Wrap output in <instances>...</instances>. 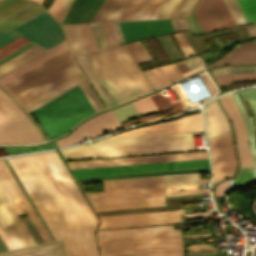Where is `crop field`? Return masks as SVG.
<instances>
[{
  "label": "crop field",
  "instance_id": "1",
  "mask_svg": "<svg viewBox=\"0 0 256 256\" xmlns=\"http://www.w3.org/2000/svg\"><path fill=\"white\" fill-rule=\"evenodd\" d=\"M7 159L66 256H98V221L56 151Z\"/></svg>",
  "mask_w": 256,
  "mask_h": 256
},
{
  "label": "crop field",
  "instance_id": "2",
  "mask_svg": "<svg viewBox=\"0 0 256 256\" xmlns=\"http://www.w3.org/2000/svg\"><path fill=\"white\" fill-rule=\"evenodd\" d=\"M194 150L192 134L99 140L63 149L65 161Z\"/></svg>",
  "mask_w": 256,
  "mask_h": 256
},
{
  "label": "crop field",
  "instance_id": "3",
  "mask_svg": "<svg viewBox=\"0 0 256 256\" xmlns=\"http://www.w3.org/2000/svg\"><path fill=\"white\" fill-rule=\"evenodd\" d=\"M87 55L118 103L152 90L124 46L88 52Z\"/></svg>",
  "mask_w": 256,
  "mask_h": 256
},
{
  "label": "crop field",
  "instance_id": "4",
  "mask_svg": "<svg viewBox=\"0 0 256 256\" xmlns=\"http://www.w3.org/2000/svg\"><path fill=\"white\" fill-rule=\"evenodd\" d=\"M78 72L65 49L2 87L22 106Z\"/></svg>",
  "mask_w": 256,
  "mask_h": 256
},
{
  "label": "crop field",
  "instance_id": "5",
  "mask_svg": "<svg viewBox=\"0 0 256 256\" xmlns=\"http://www.w3.org/2000/svg\"><path fill=\"white\" fill-rule=\"evenodd\" d=\"M32 112L49 139H53L94 110L77 85Z\"/></svg>",
  "mask_w": 256,
  "mask_h": 256
},
{
  "label": "crop field",
  "instance_id": "6",
  "mask_svg": "<svg viewBox=\"0 0 256 256\" xmlns=\"http://www.w3.org/2000/svg\"><path fill=\"white\" fill-rule=\"evenodd\" d=\"M95 211L163 205L164 186L86 194Z\"/></svg>",
  "mask_w": 256,
  "mask_h": 256
},
{
  "label": "crop field",
  "instance_id": "7",
  "mask_svg": "<svg viewBox=\"0 0 256 256\" xmlns=\"http://www.w3.org/2000/svg\"><path fill=\"white\" fill-rule=\"evenodd\" d=\"M130 0H104L94 19L120 18ZM166 0H131L120 21L156 19ZM119 21V19L92 22Z\"/></svg>",
  "mask_w": 256,
  "mask_h": 256
},
{
  "label": "crop field",
  "instance_id": "8",
  "mask_svg": "<svg viewBox=\"0 0 256 256\" xmlns=\"http://www.w3.org/2000/svg\"><path fill=\"white\" fill-rule=\"evenodd\" d=\"M102 254L182 248L180 233L99 240Z\"/></svg>",
  "mask_w": 256,
  "mask_h": 256
},
{
  "label": "crop field",
  "instance_id": "9",
  "mask_svg": "<svg viewBox=\"0 0 256 256\" xmlns=\"http://www.w3.org/2000/svg\"><path fill=\"white\" fill-rule=\"evenodd\" d=\"M36 43L49 48L64 40L61 25L46 11L13 29Z\"/></svg>",
  "mask_w": 256,
  "mask_h": 256
},
{
  "label": "crop field",
  "instance_id": "10",
  "mask_svg": "<svg viewBox=\"0 0 256 256\" xmlns=\"http://www.w3.org/2000/svg\"><path fill=\"white\" fill-rule=\"evenodd\" d=\"M209 167L208 159L72 170L75 177Z\"/></svg>",
  "mask_w": 256,
  "mask_h": 256
},
{
  "label": "crop field",
  "instance_id": "11",
  "mask_svg": "<svg viewBox=\"0 0 256 256\" xmlns=\"http://www.w3.org/2000/svg\"><path fill=\"white\" fill-rule=\"evenodd\" d=\"M182 211H164L100 217V229L180 223Z\"/></svg>",
  "mask_w": 256,
  "mask_h": 256
},
{
  "label": "crop field",
  "instance_id": "12",
  "mask_svg": "<svg viewBox=\"0 0 256 256\" xmlns=\"http://www.w3.org/2000/svg\"><path fill=\"white\" fill-rule=\"evenodd\" d=\"M193 11L205 33L236 25L223 0H199Z\"/></svg>",
  "mask_w": 256,
  "mask_h": 256
},
{
  "label": "crop field",
  "instance_id": "13",
  "mask_svg": "<svg viewBox=\"0 0 256 256\" xmlns=\"http://www.w3.org/2000/svg\"><path fill=\"white\" fill-rule=\"evenodd\" d=\"M198 131H204L201 114H193L179 118L172 122L159 123L151 126L134 129L110 138L173 134Z\"/></svg>",
  "mask_w": 256,
  "mask_h": 256
},
{
  "label": "crop field",
  "instance_id": "14",
  "mask_svg": "<svg viewBox=\"0 0 256 256\" xmlns=\"http://www.w3.org/2000/svg\"><path fill=\"white\" fill-rule=\"evenodd\" d=\"M15 221L17 227L15 226ZM0 226L10 240L14 249L34 245L32 237L23 223L16 216L14 209L0 187Z\"/></svg>",
  "mask_w": 256,
  "mask_h": 256
},
{
  "label": "crop field",
  "instance_id": "15",
  "mask_svg": "<svg viewBox=\"0 0 256 256\" xmlns=\"http://www.w3.org/2000/svg\"><path fill=\"white\" fill-rule=\"evenodd\" d=\"M228 135L236 167V158L233 150L230 132L228 133ZM229 141L227 133L209 141L213 169L212 183L225 177L231 176L235 170Z\"/></svg>",
  "mask_w": 256,
  "mask_h": 256
},
{
  "label": "crop field",
  "instance_id": "16",
  "mask_svg": "<svg viewBox=\"0 0 256 256\" xmlns=\"http://www.w3.org/2000/svg\"><path fill=\"white\" fill-rule=\"evenodd\" d=\"M206 158L207 152H205ZM204 152L99 160L100 167L205 158ZM70 169L99 167L98 160L67 163Z\"/></svg>",
  "mask_w": 256,
  "mask_h": 256
},
{
  "label": "crop field",
  "instance_id": "17",
  "mask_svg": "<svg viewBox=\"0 0 256 256\" xmlns=\"http://www.w3.org/2000/svg\"><path fill=\"white\" fill-rule=\"evenodd\" d=\"M120 127L111 111L102 113L77 128L71 135L57 141L58 147L69 145L88 136V138Z\"/></svg>",
  "mask_w": 256,
  "mask_h": 256
},
{
  "label": "crop field",
  "instance_id": "18",
  "mask_svg": "<svg viewBox=\"0 0 256 256\" xmlns=\"http://www.w3.org/2000/svg\"><path fill=\"white\" fill-rule=\"evenodd\" d=\"M219 101L234 126L240 166L253 167L251 154L249 152L246 127L234 101L231 96L228 95L220 98Z\"/></svg>",
  "mask_w": 256,
  "mask_h": 256
},
{
  "label": "crop field",
  "instance_id": "19",
  "mask_svg": "<svg viewBox=\"0 0 256 256\" xmlns=\"http://www.w3.org/2000/svg\"><path fill=\"white\" fill-rule=\"evenodd\" d=\"M38 141L0 102V144H33Z\"/></svg>",
  "mask_w": 256,
  "mask_h": 256
},
{
  "label": "crop field",
  "instance_id": "20",
  "mask_svg": "<svg viewBox=\"0 0 256 256\" xmlns=\"http://www.w3.org/2000/svg\"><path fill=\"white\" fill-rule=\"evenodd\" d=\"M124 41L171 32L170 20L119 23Z\"/></svg>",
  "mask_w": 256,
  "mask_h": 256
},
{
  "label": "crop field",
  "instance_id": "21",
  "mask_svg": "<svg viewBox=\"0 0 256 256\" xmlns=\"http://www.w3.org/2000/svg\"><path fill=\"white\" fill-rule=\"evenodd\" d=\"M75 58L105 101L108 107L117 104V101L115 100V96L113 97L112 93L102 80L101 76L91 63L90 59L86 55V53L75 55Z\"/></svg>",
  "mask_w": 256,
  "mask_h": 256
},
{
  "label": "crop field",
  "instance_id": "22",
  "mask_svg": "<svg viewBox=\"0 0 256 256\" xmlns=\"http://www.w3.org/2000/svg\"><path fill=\"white\" fill-rule=\"evenodd\" d=\"M203 110L208 139L229 131L226 118L216 100L204 105Z\"/></svg>",
  "mask_w": 256,
  "mask_h": 256
},
{
  "label": "crop field",
  "instance_id": "23",
  "mask_svg": "<svg viewBox=\"0 0 256 256\" xmlns=\"http://www.w3.org/2000/svg\"><path fill=\"white\" fill-rule=\"evenodd\" d=\"M224 63H256V42H247L236 47L227 55L209 66H215Z\"/></svg>",
  "mask_w": 256,
  "mask_h": 256
},
{
  "label": "crop field",
  "instance_id": "24",
  "mask_svg": "<svg viewBox=\"0 0 256 256\" xmlns=\"http://www.w3.org/2000/svg\"><path fill=\"white\" fill-rule=\"evenodd\" d=\"M175 232H180V231L173 230L172 225L161 226V227L105 230V231L98 232V238L104 239V238L128 237V236H139V235L175 233Z\"/></svg>",
  "mask_w": 256,
  "mask_h": 256
},
{
  "label": "crop field",
  "instance_id": "25",
  "mask_svg": "<svg viewBox=\"0 0 256 256\" xmlns=\"http://www.w3.org/2000/svg\"><path fill=\"white\" fill-rule=\"evenodd\" d=\"M84 79V76L80 72L22 107L27 112H29L42 105L43 103L49 101L50 99L56 97L57 95L63 93L64 91L70 89L71 87L77 85L78 83L84 81Z\"/></svg>",
  "mask_w": 256,
  "mask_h": 256
},
{
  "label": "crop field",
  "instance_id": "26",
  "mask_svg": "<svg viewBox=\"0 0 256 256\" xmlns=\"http://www.w3.org/2000/svg\"><path fill=\"white\" fill-rule=\"evenodd\" d=\"M65 48H67V46L66 42L64 41L57 46L51 48L50 50L44 52L43 54L37 56L36 58L30 60L29 62L23 64L22 66L16 68L15 70L9 72L8 74L2 76L0 78V85L2 86L6 84L7 82L18 77L19 75L23 74L24 72L40 64L41 62L45 61L46 59L50 58L51 56L55 55L56 53L62 51Z\"/></svg>",
  "mask_w": 256,
  "mask_h": 256
},
{
  "label": "crop field",
  "instance_id": "27",
  "mask_svg": "<svg viewBox=\"0 0 256 256\" xmlns=\"http://www.w3.org/2000/svg\"><path fill=\"white\" fill-rule=\"evenodd\" d=\"M0 256H64L61 242L0 253Z\"/></svg>",
  "mask_w": 256,
  "mask_h": 256
},
{
  "label": "crop field",
  "instance_id": "28",
  "mask_svg": "<svg viewBox=\"0 0 256 256\" xmlns=\"http://www.w3.org/2000/svg\"><path fill=\"white\" fill-rule=\"evenodd\" d=\"M0 168L4 175L6 176L7 180L11 184L12 188L16 192L17 196L21 200L25 210L27 211L28 215L30 216L31 220L33 221L34 225L36 226L37 230L41 234L42 238L44 239L45 243L51 242L50 237L46 233L45 229L43 228L42 224L38 220L37 216L35 215L34 211L30 207L29 203L27 202L26 198L24 197L23 193L19 189L18 185L16 184L15 180L11 176L10 172L8 171L7 167L3 163L2 159H0Z\"/></svg>",
  "mask_w": 256,
  "mask_h": 256
},
{
  "label": "crop field",
  "instance_id": "29",
  "mask_svg": "<svg viewBox=\"0 0 256 256\" xmlns=\"http://www.w3.org/2000/svg\"><path fill=\"white\" fill-rule=\"evenodd\" d=\"M185 0H167L157 19L176 18ZM196 0H186L177 18H187Z\"/></svg>",
  "mask_w": 256,
  "mask_h": 256
},
{
  "label": "crop field",
  "instance_id": "30",
  "mask_svg": "<svg viewBox=\"0 0 256 256\" xmlns=\"http://www.w3.org/2000/svg\"><path fill=\"white\" fill-rule=\"evenodd\" d=\"M148 97L151 100V102L153 103V105L155 106V108L157 109V111L171 108V107H173V109L165 114H162V115H151V116H147L144 118L129 121L126 123H122V126H126L132 122H140V121L157 118V117L164 116V115L173 114L175 112H178V111H181L184 109V107L180 101L171 102L170 99L168 98V96H162L159 92L154 95L148 96Z\"/></svg>",
  "mask_w": 256,
  "mask_h": 256
},
{
  "label": "crop field",
  "instance_id": "31",
  "mask_svg": "<svg viewBox=\"0 0 256 256\" xmlns=\"http://www.w3.org/2000/svg\"><path fill=\"white\" fill-rule=\"evenodd\" d=\"M164 185V177L104 181L105 190Z\"/></svg>",
  "mask_w": 256,
  "mask_h": 256
},
{
  "label": "crop field",
  "instance_id": "32",
  "mask_svg": "<svg viewBox=\"0 0 256 256\" xmlns=\"http://www.w3.org/2000/svg\"><path fill=\"white\" fill-rule=\"evenodd\" d=\"M72 54L87 51L79 24L63 25Z\"/></svg>",
  "mask_w": 256,
  "mask_h": 256
},
{
  "label": "crop field",
  "instance_id": "33",
  "mask_svg": "<svg viewBox=\"0 0 256 256\" xmlns=\"http://www.w3.org/2000/svg\"><path fill=\"white\" fill-rule=\"evenodd\" d=\"M0 101L13 113V115L31 132L39 141H44L36 127L28 118L13 104V102L0 90Z\"/></svg>",
  "mask_w": 256,
  "mask_h": 256
},
{
  "label": "crop field",
  "instance_id": "34",
  "mask_svg": "<svg viewBox=\"0 0 256 256\" xmlns=\"http://www.w3.org/2000/svg\"><path fill=\"white\" fill-rule=\"evenodd\" d=\"M234 100L237 104V107L242 115V117L245 120L246 123V127H247V131H248V140H249V145H250V150L252 153V158H253V164H254V168H253V178L252 179H256V145H255V136H254V127H253V119L252 117L248 118L243 107L242 104L239 100V97L237 95L236 92L232 93Z\"/></svg>",
  "mask_w": 256,
  "mask_h": 256
},
{
  "label": "crop field",
  "instance_id": "35",
  "mask_svg": "<svg viewBox=\"0 0 256 256\" xmlns=\"http://www.w3.org/2000/svg\"><path fill=\"white\" fill-rule=\"evenodd\" d=\"M36 45L29 48L28 50L22 52L21 54L15 56L14 58L8 60L7 62L1 64L0 65V76L7 73L10 70H12L13 68L19 66L20 64L26 62L27 60L33 58L34 56L38 55L39 53L45 51L44 49H42Z\"/></svg>",
  "mask_w": 256,
  "mask_h": 256
},
{
  "label": "crop field",
  "instance_id": "36",
  "mask_svg": "<svg viewBox=\"0 0 256 256\" xmlns=\"http://www.w3.org/2000/svg\"><path fill=\"white\" fill-rule=\"evenodd\" d=\"M209 171V168L77 178L78 181Z\"/></svg>",
  "mask_w": 256,
  "mask_h": 256
},
{
  "label": "crop field",
  "instance_id": "37",
  "mask_svg": "<svg viewBox=\"0 0 256 256\" xmlns=\"http://www.w3.org/2000/svg\"><path fill=\"white\" fill-rule=\"evenodd\" d=\"M209 183V179H200L199 174L167 176L166 185H189Z\"/></svg>",
  "mask_w": 256,
  "mask_h": 256
},
{
  "label": "crop field",
  "instance_id": "38",
  "mask_svg": "<svg viewBox=\"0 0 256 256\" xmlns=\"http://www.w3.org/2000/svg\"><path fill=\"white\" fill-rule=\"evenodd\" d=\"M203 61L200 57H194L182 62L175 63L182 77L202 68Z\"/></svg>",
  "mask_w": 256,
  "mask_h": 256
},
{
  "label": "crop field",
  "instance_id": "39",
  "mask_svg": "<svg viewBox=\"0 0 256 256\" xmlns=\"http://www.w3.org/2000/svg\"><path fill=\"white\" fill-rule=\"evenodd\" d=\"M220 86L238 81H256V72L214 76Z\"/></svg>",
  "mask_w": 256,
  "mask_h": 256
},
{
  "label": "crop field",
  "instance_id": "40",
  "mask_svg": "<svg viewBox=\"0 0 256 256\" xmlns=\"http://www.w3.org/2000/svg\"><path fill=\"white\" fill-rule=\"evenodd\" d=\"M0 185L4 190L6 196L8 197L9 201L11 202L12 206L16 210L17 214L25 213L23 206L19 202L18 198L16 197L15 193L13 192L6 178L2 174L1 170H0Z\"/></svg>",
  "mask_w": 256,
  "mask_h": 256
},
{
  "label": "crop field",
  "instance_id": "41",
  "mask_svg": "<svg viewBox=\"0 0 256 256\" xmlns=\"http://www.w3.org/2000/svg\"><path fill=\"white\" fill-rule=\"evenodd\" d=\"M102 256H183L182 249L176 250H162V251H149V252H135V253H122V254H108Z\"/></svg>",
  "mask_w": 256,
  "mask_h": 256
},
{
  "label": "crop field",
  "instance_id": "42",
  "mask_svg": "<svg viewBox=\"0 0 256 256\" xmlns=\"http://www.w3.org/2000/svg\"><path fill=\"white\" fill-rule=\"evenodd\" d=\"M125 48L129 52L135 63L150 59V56L148 55L140 41L125 45Z\"/></svg>",
  "mask_w": 256,
  "mask_h": 256
},
{
  "label": "crop field",
  "instance_id": "43",
  "mask_svg": "<svg viewBox=\"0 0 256 256\" xmlns=\"http://www.w3.org/2000/svg\"><path fill=\"white\" fill-rule=\"evenodd\" d=\"M247 22H256V0H237Z\"/></svg>",
  "mask_w": 256,
  "mask_h": 256
},
{
  "label": "crop field",
  "instance_id": "44",
  "mask_svg": "<svg viewBox=\"0 0 256 256\" xmlns=\"http://www.w3.org/2000/svg\"><path fill=\"white\" fill-rule=\"evenodd\" d=\"M29 42H31V41L20 36V37L14 39L13 41L9 42L8 44L2 46L0 48V59L7 56L8 54L14 52L15 50L19 49L20 47L26 45Z\"/></svg>",
  "mask_w": 256,
  "mask_h": 256
},
{
  "label": "crop field",
  "instance_id": "45",
  "mask_svg": "<svg viewBox=\"0 0 256 256\" xmlns=\"http://www.w3.org/2000/svg\"><path fill=\"white\" fill-rule=\"evenodd\" d=\"M114 114L116 115L119 122L125 121L128 119H132L135 117H139L137 110L135 109L133 103L121 107L119 109L113 110ZM141 116V115H140Z\"/></svg>",
  "mask_w": 256,
  "mask_h": 256
},
{
  "label": "crop field",
  "instance_id": "46",
  "mask_svg": "<svg viewBox=\"0 0 256 256\" xmlns=\"http://www.w3.org/2000/svg\"><path fill=\"white\" fill-rule=\"evenodd\" d=\"M179 189H197V185H190V186H166V196L181 195V194H193V193H209L208 189L173 191V190H179Z\"/></svg>",
  "mask_w": 256,
  "mask_h": 256
},
{
  "label": "crop field",
  "instance_id": "47",
  "mask_svg": "<svg viewBox=\"0 0 256 256\" xmlns=\"http://www.w3.org/2000/svg\"><path fill=\"white\" fill-rule=\"evenodd\" d=\"M79 87L81 88V90L83 91L84 95L86 96V98L88 99L90 104L92 105V107L95 110V112L103 109V106L101 105V103L99 102V100L97 99L95 94L92 92V90L90 89V87L88 86L86 81L80 83Z\"/></svg>",
  "mask_w": 256,
  "mask_h": 256
},
{
  "label": "crop field",
  "instance_id": "48",
  "mask_svg": "<svg viewBox=\"0 0 256 256\" xmlns=\"http://www.w3.org/2000/svg\"><path fill=\"white\" fill-rule=\"evenodd\" d=\"M88 51L96 50L97 45L90 24H80Z\"/></svg>",
  "mask_w": 256,
  "mask_h": 256
},
{
  "label": "crop field",
  "instance_id": "49",
  "mask_svg": "<svg viewBox=\"0 0 256 256\" xmlns=\"http://www.w3.org/2000/svg\"><path fill=\"white\" fill-rule=\"evenodd\" d=\"M240 97L247 100L255 118L256 124V88L246 89L238 92Z\"/></svg>",
  "mask_w": 256,
  "mask_h": 256
},
{
  "label": "crop field",
  "instance_id": "50",
  "mask_svg": "<svg viewBox=\"0 0 256 256\" xmlns=\"http://www.w3.org/2000/svg\"><path fill=\"white\" fill-rule=\"evenodd\" d=\"M134 105L141 116L156 111L148 97L134 102Z\"/></svg>",
  "mask_w": 256,
  "mask_h": 256
},
{
  "label": "crop field",
  "instance_id": "51",
  "mask_svg": "<svg viewBox=\"0 0 256 256\" xmlns=\"http://www.w3.org/2000/svg\"><path fill=\"white\" fill-rule=\"evenodd\" d=\"M97 41L98 48L107 47V41L101 23L91 24Z\"/></svg>",
  "mask_w": 256,
  "mask_h": 256
},
{
  "label": "crop field",
  "instance_id": "52",
  "mask_svg": "<svg viewBox=\"0 0 256 256\" xmlns=\"http://www.w3.org/2000/svg\"><path fill=\"white\" fill-rule=\"evenodd\" d=\"M256 71L255 67H224L213 70L214 75Z\"/></svg>",
  "mask_w": 256,
  "mask_h": 256
},
{
  "label": "crop field",
  "instance_id": "53",
  "mask_svg": "<svg viewBox=\"0 0 256 256\" xmlns=\"http://www.w3.org/2000/svg\"><path fill=\"white\" fill-rule=\"evenodd\" d=\"M236 24L246 23L234 0H224Z\"/></svg>",
  "mask_w": 256,
  "mask_h": 256
},
{
  "label": "crop field",
  "instance_id": "54",
  "mask_svg": "<svg viewBox=\"0 0 256 256\" xmlns=\"http://www.w3.org/2000/svg\"><path fill=\"white\" fill-rule=\"evenodd\" d=\"M174 37H175L178 45L180 46V48H181L185 57L194 55V52L192 51L191 47L189 46V44L185 40L182 33L175 34ZM182 58H184V57H182Z\"/></svg>",
  "mask_w": 256,
  "mask_h": 256
},
{
  "label": "crop field",
  "instance_id": "55",
  "mask_svg": "<svg viewBox=\"0 0 256 256\" xmlns=\"http://www.w3.org/2000/svg\"><path fill=\"white\" fill-rule=\"evenodd\" d=\"M161 69L165 73L170 83L182 78L181 75L176 70V68L173 66V64L161 66Z\"/></svg>",
  "mask_w": 256,
  "mask_h": 256
},
{
  "label": "crop field",
  "instance_id": "56",
  "mask_svg": "<svg viewBox=\"0 0 256 256\" xmlns=\"http://www.w3.org/2000/svg\"><path fill=\"white\" fill-rule=\"evenodd\" d=\"M102 24H103V28H104V31H105V34H106L108 45L111 46V45L118 44L117 40H116V37H115V34H114L112 24L111 23H102Z\"/></svg>",
  "mask_w": 256,
  "mask_h": 256
},
{
  "label": "crop field",
  "instance_id": "57",
  "mask_svg": "<svg viewBox=\"0 0 256 256\" xmlns=\"http://www.w3.org/2000/svg\"><path fill=\"white\" fill-rule=\"evenodd\" d=\"M66 1L67 0H55L48 12L57 19Z\"/></svg>",
  "mask_w": 256,
  "mask_h": 256
},
{
  "label": "crop field",
  "instance_id": "58",
  "mask_svg": "<svg viewBox=\"0 0 256 256\" xmlns=\"http://www.w3.org/2000/svg\"><path fill=\"white\" fill-rule=\"evenodd\" d=\"M18 36L19 35L15 34L13 32H9V31L0 29V47Z\"/></svg>",
  "mask_w": 256,
  "mask_h": 256
},
{
  "label": "crop field",
  "instance_id": "59",
  "mask_svg": "<svg viewBox=\"0 0 256 256\" xmlns=\"http://www.w3.org/2000/svg\"><path fill=\"white\" fill-rule=\"evenodd\" d=\"M230 180L224 181V182H222V183H220L216 186V189H215V196L216 197L224 196V194L228 190L227 186H228Z\"/></svg>",
  "mask_w": 256,
  "mask_h": 256
},
{
  "label": "crop field",
  "instance_id": "60",
  "mask_svg": "<svg viewBox=\"0 0 256 256\" xmlns=\"http://www.w3.org/2000/svg\"><path fill=\"white\" fill-rule=\"evenodd\" d=\"M144 74L146 75V77L148 78V80L150 81L154 89L161 87V84L159 83V81L157 80V78L155 77L151 69L144 71Z\"/></svg>",
  "mask_w": 256,
  "mask_h": 256
},
{
  "label": "crop field",
  "instance_id": "61",
  "mask_svg": "<svg viewBox=\"0 0 256 256\" xmlns=\"http://www.w3.org/2000/svg\"><path fill=\"white\" fill-rule=\"evenodd\" d=\"M152 71L154 72V74L156 75V77L158 78V80L160 81L162 86H164V85L169 83V81L165 77V75L162 72V70L160 69V67L152 68Z\"/></svg>",
  "mask_w": 256,
  "mask_h": 256
},
{
  "label": "crop field",
  "instance_id": "62",
  "mask_svg": "<svg viewBox=\"0 0 256 256\" xmlns=\"http://www.w3.org/2000/svg\"><path fill=\"white\" fill-rule=\"evenodd\" d=\"M174 31L189 28L186 19L171 20Z\"/></svg>",
  "mask_w": 256,
  "mask_h": 256
},
{
  "label": "crop field",
  "instance_id": "63",
  "mask_svg": "<svg viewBox=\"0 0 256 256\" xmlns=\"http://www.w3.org/2000/svg\"><path fill=\"white\" fill-rule=\"evenodd\" d=\"M208 76V75H207ZM206 76L205 73L200 74V77L202 78V80L204 81V83L206 84V86L208 87V89L210 90V92L213 94H215L217 92V89L213 86V84L211 83V81L208 79V77Z\"/></svg>",
  "mask_w": 256,
  "mask_h": 256
},
{
  "label": "crop field",
  "instance_id": "64",
  "mask_svg": "<svg viewBox=\"0 0 256 256\" xmlns=\"http://www.w3.org/2000/svg\"><path fill=\"white\" fill-rule=\"evenodd\" d=\"M112 24H113V27H114V30H115V33H116L118 43L119 44L124 43L120 28H119V24L118 23H112Z\"/></svg>",
  "mask_w": 256,
  "mask_h": 256
},
{
  "label": "crop field",
  "instance_id": "65",
  "mask_svg": "<svg viewBox=\"0 0 256 256\" xmlns=\"http://www.w3.org/2000/svg\"><path fill=\"white\" fill-rule=\"evenodd\" d=\"M72 1H73V0H68L67 3L65 4L63 10L61 11V13H60V15H59V17H58V19H57L60 23H61V21H62L64 15L66 14V12H67L69 6L71 5Z\"/></svg>",
  "mask_w": 256,
  "mask_h": 256
},
{
  "label": "crop field",
  "instance_id": "66",
  "mask_svg": "<svg viewBox=\"0 0 256 256\" xmlns=\"http://www.w3.org/2000/svg\"><path fill=\"white\" fill-rule=\"evenodd\" d=\"M0 236H1L2 240L4 241L5 245L7 246L8 250H12L13 247L10 244L9 240L7 239V237L5 236V234L2 231L1 227H0Z\"/></svg>",
  "mask_w": 256,
  "mask_h": 256
},
{
  "label": "crop field",
  "instance_id": "67",
  "mask_svg": "<svg viewBox=\"0 0 256 256\" xmlns=\"http://www.w3.org/2000/svg\"><path fill=\"white\" fill-rule=\"evenodd\" d=\"M210 215V211L185 215V218Z\"/></svg>",
  "mask_w": 256,
  "mask_h": 256
},
{
  "label": "crop field",
  "instance_id": "68",
  "mask_svg": "<svg viewBox=\"0 0 256 256\" xmlns=\"http://www.w3.org/2000/svg\"><path fill=\"white\" fill-rule=\"evenodd\" d=\"M195 247H208V246H204V245H190V248H195Z\"/></svg>",
  "mask_w": 256,
  "mask_h": 256
},
{
  "label": "crop field",
  "instance_id": "69",
  "mask_svg": "<svg viewBox=\"0 0 256 256\" xmlns=\"http://www.w3.org/2000/svg\"><path fill=\"white\" fill-rule=\"evenodd\" d=\"M35 1H38L40 4H41V2H42V0H35Z\"/></svg>",
  "mask_w": 256,
  "mask_h": 256
}]
</instances>
